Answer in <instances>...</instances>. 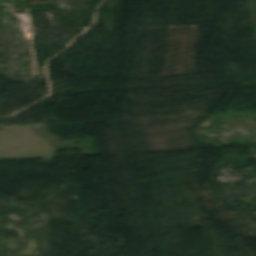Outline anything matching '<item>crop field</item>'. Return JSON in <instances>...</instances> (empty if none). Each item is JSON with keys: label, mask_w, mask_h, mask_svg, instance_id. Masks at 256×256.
Segmentation results:
<instances>
[{"label": "crop field", "mask_w": 256, "mask_h": 256, "mask_svg": "<svg viewBox=\"0 0 256 256\" xmlns=\"http://www.w3.org/2000/svg\"><path fill=\"white\" fill-rule=\"evenodd\" d=\"M12 3L17 7H20L22 4H27L26 0H12Z\"/></svg>", "instance_id": "1"}]
</instances>
